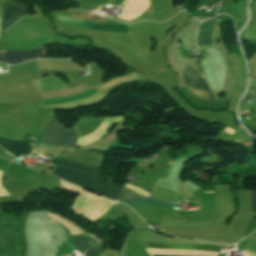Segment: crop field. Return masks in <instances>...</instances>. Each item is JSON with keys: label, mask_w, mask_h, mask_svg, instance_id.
Returning a JSON list of instances; mask_svg holds the SVG:
<instances>
[{"label": "crop field", "mask_w": 256, "mask_h": 256, "mask_svg": "<svg viewBox=\"0 0 256 256\" xmlns=\"http://www.w3.org/2000/svg\"><path fill=\"white\" fill-rule=\"evenodd\" d=\"M53 175L63 178L77 186L95 192L111 200L114 199V197L121 189V187L109 183L98 177L59 166H57Z\"/></svg>", "instance_id": "1"}, {"label": "crop field", "mask_w": 256, "mask_h": 256, "mask_svg": "<svg viewBox=\"0 0 256 256\" xmlns=\"http://www.w3.org/2000/svg\"><path fill=\"white\" fill-rule=\"evenodd\" d=\"M43 134L42 143L53 146H66L68 148H74L76 145L77 137L75 133L71 129L64 130V126L54 116L46 126Z\"/></svg>", "instance_id": "2"}, {"label": "crop field", "mask_w": 256, "mask_h": 256, "mask_svg": "<svg viewBox=\"0 0 256 256\" xmlns=\"http://www.w3.org/2000/svg\"><path fill=\"white\" fill-rule=\"evenodd\" d=\"M55 15V14H54ZM57 24L94 29L98 31L126 33L127 26L108 25L97 22L55 15Z\"/></svg>", "instance_id": "3"}, {"label": "crop field", "mask_w": 256, "mask_h": 256, "mask_svg": "<svg viewBox=\"0 0 256 256\" xmlns=\"http://www.w3.org/2000/svg\"><path fill=\"white\" fill-rule=\"evenodd\" d=\"M182 77L188 90L194 95L201 98L213 99L201 74L192 69L190 66L186 65Z\"/></svg>", "instance_id": "4"}, {"label": "crop field", "mask_w": 256, "mask_h": 256, "mask_svg": "<svg viewBox=\"0 0 256 256\" xmlns=\"http://www.w3.org/2000/svg\"><path fill=\"white\" fill-rule=\"evenodd\" d=\"M26 12L25 5L11 0L3 2L1 33L15 23Z\"/></svg>", "instance_id": "5"}, {"label": "crop field", "mask_w": 256, "mask_h": 256, "mask_svg": "<svg viewBox=\"0 0 256 256\" xmlns=\"http://www.w3.org/2000/svg\"><path fill=\"white\" fill-rule=\"evenodd\" d=\"M47 48H40L34 51H7L0 50V62L19 64L33 58H40L45 55Z\"/></svg>", "instance_id": "6"}, {"label": "crop field", "mask_w": 256, "mask_h": 256, "mask_svg": "<svg viewBox=\"0 0 256 256\" xmlns=\"http://www.w3.org/2000/svg\"><path fill=\"white\" fill-rule=\"evenodd\" d=\"M144 248H168V249H183V250H207L220 252L224 247L201 244H181V243H154L141 242ZM159 256V255H150Z\"/></svg>", "instance_id": "7"}, {"label": "crop field", "mask_w": 256, "mask_h": 256, "mask_svg": "<svg viewBox=\"0 0 256 256\" xmlns=\"http://www.w3.org/2000/svg\"><path fill=\"white\" fill-rule=\"evenodd\" d=\"M127 3L128 1L125 0L123 5L126 6ZM149 4V0H130L117 17L126 21L136 19L148 8Z\"/></svg>", "instance_id": "8"}, {"label": "crop field", "mask_w": 256, "mask_h": 256, "mask_svg": "<svg viewBox=\"0 0 256 256\" xmlns=\"http://www.w3.org/2000/svg\"><path fill=\"white\" fill-rule=\"evenodd\" d=\"M0 145L3 146L7 151H9L12 154L29 155L30 153V147L27 140L12 141L10 139L0 138Z\"/></svg>", "instance_id": "9"}, {"label": "crop field", "mask_w": 256, "mask_h": 256, "mask_svg": "<svg viewBox=\"0 0 256 256\" xmlns=\"http://www.w3.org/2000/svg\"><path fill=\"white\" fill-rule=\"evenodd\" d=\"M218 21L219 20L212 18L210 20L205 21L201 25L198 32V46L211 44V41H210L211 30L216 24H218Z\"/></svg>", "instance_id": "10"}, {"label": "crop field", "mask_w": 256, "mask_h": 256, "mask_svg": "<svg viewBox=\"0 0 256 256\" xmlns=\"http://www.w3.org/2000/svg\"><path fill=\"white\" fill-rule=\"evenodd\" d=\"M50 161H52L53 164L69 167L72 169L88 172L93 175L99 176L100 169L98 168H94V167H90V166H86V165H82V164H78V163H74V162H70L62 159H52Z\"/></svg>", "instance_id": "11"}, {"label": "crop field", "mask_w": 256, "mask_h": 256, "mask_svg": "<svg viewBox=\"0 0 256 256\" xmlns=\"http://www.w3.org/2000/svg\"><path fill=\"white\" fill-rule=\"evenodd\" d=\"M119 202H126L129 206H165V207H178L176 205H172L169 203L153 200V199H146V198H137V199H125L119 200Z\"/></svg>", "instance_id": "12"}, {"label": "crop field", "mask_w": 256, "mask_h": 256, "mask_svg": "<svg viewBox=\"0 0 256 256\" xmlns=\"http://www.w3.org/2000/svg\"><path fill=\"white\" fill-rule=\"evenodd\" d=\"M68 242L79 249H81L83 252L86 248H88L84 238L82 235H77V236H69L68 237Z\"/></svg>", "instance_id": "13"}, {"label": "crop field", "mask_w": 256, "mask_h": 256, "mask_svg": "<svg viewBox=\"0 0 256 256\" xmlns=\"http://www.w3.org/2000/svg\"><path fill=\"white\" fill-rule=\"evenodd\" d=\"M103 245L104 243L100 242L98 245L90 248L85 252V256H98L103 249Z\"/></svg>", "instance_id": "14"}, {"label": "crop field", "mask_w": 256, "mask_h": 256, "mask_svg": "<svg viewBox=\"0 0 256 256\" xmlns=\"http://www.w3.org/2000/svg\"><path fill=\"white\" fill-rule=\"evenodd\" d=\"M141 195H138L136 193H133L129 190H126L124 188H122V190L119 192V194L115 197V201L119 198H126V197H139Z\"/></svg>", "instance_id": "15"}, {"label": "crop field", "mask_w": 256, "mask_h": 256, "mask_svg": "<svg viewBox=\"0 0 256 256\" xmlns=\"http://www.w3.org/2000/svg\"><path fill=\"white\" fill-rule=\"evenodd\" d=\"M254 212L256 213V191H253Z\"/></svg>", "instance_id": "16"}, {"label": "crop field", "mask_w": 256, "mask_h": 256, "mask_svg": "<svg viewBox=\"0 0 256 256\" xmlns=\"http://www.w3.org/2000/svg\"><path fill=\"white\" fill-rule=\"evenodd\" d=\"M126 187V186H125ZM128 188V187H127ZM130 189V188H129ZM132 190V189H131ZM134 191V190H133ZM136 192V191H135ZM139 193V192H138ZM141 194V193H140Z\"/></svg>", "instance_id": "17"}, {"label": "crop field", "mask_w": 256, "mask_h": 256, "mask_svg": "<svg viewBox=\"0 0 256 256\" xmlns=\"http://www.w3.org/2000/svg\"><path fill=\"white\" fill-rule=\"evenodd\" d=\"M227 189H229V186H227Z\"/></svg>", "instance_id": "18"}]
</instances>
